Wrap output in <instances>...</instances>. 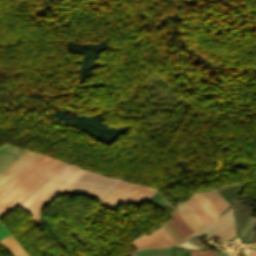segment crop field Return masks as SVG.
Instances as JSON below:
<instances>
[{
  "label": "crop field",
  "instance_id": "crop-field-1",
  "mask_svg": "<svg viewBox=\"0 0 256 256\" xmlns=\"http://www.w3.org/2000/svg\"><path fill=\"white\" fill-rule=\"evenodd\" d=\"M63 164L43 155L37 158L0 191V212L17 206Z\"/></svg>",
  "mask_w": 256,
  "mask_h": 256
},
{
  "label": "crop field",
  "instance_id": "crop-field-2",
  "mask_svg": "<svg viewBox=\"0 0 256 256\" xmlns=\"http://www.w3.org/2000/svg\"><path fill=\"white\" fill-rule=\"evenodd\" d=\"M68 164H66L64 167H66ZM63 167V168H64ZM62 168V169H63ZM62 169H60L56 174H58ZM85 171L80 170L78 168L72 167L68 165L65 169H63L57 176L51 177L48 181L52 180L49 183H45L42 185L40 188H43L41 190H37L34 194L33 197H29L25 202V204H21L20 206L22 209L27 210L30 212L32 216V220L34 225H38L42 223L41 217L39 212L50 202L52 201L57 195H59L64 189H66L72 182H74L81 174H83ZM37 227V226H36Z\"/></svg>",
  "mask_w": 256,
  "mask_h": 256
},
{
  "label": "crop field",
  "instance_id": "crop-field-3",
  "mask_svg": "<svg viewBox=\"0 0 256 256\" xmlns=\"http://www.w3.org/2000/svg\"><path fill=\"white\" fill-rule=\"evenodd\" d=\"M121 182L86 171L65 191L88 193L102 199Z\"/></svg>",
  "mask_w": 256,
  "mask_h": 256
},
{
  "label": "crop field",
  "instance_id": "crop-field-4",
  "mask_svg": "<svg viewBox=\"0 0 256 256\" xmlns=\"http://www.w3.org/2000/svg\"><path fill=\"white\" fill-rule=\"evenodd\" d=\"M207 234L210 238L212 234L223 240L231 239L235 236V224L232 209L229 208L223 214H221L217 219H215L210 225H208L199 234Z\"/></svg>",
  "mask_w": 256,
  "mask_h": 256
},
{
  "label": "crop field",
  "instance_id": "crop-field-5",
  "mask_svg": "<svg viewBox=\"0 0 256 256\" xmlns=\"http://www.w3.org/2000/svg\"><path fill=\"white\" fill-rule=\"evenodd\" d=\"M140 186L124 183L118 185L104 199L100 201V205L116 210L125 200H127Z\"/></svg>",
  "mask_w": 256,
  "mask_h": 256
},
{
  "label": "crop field",
  "instance_id": "crop-field-6",
  "mask_svg": "<svg viewBox=\"0 0 256 256\" xmlns=\"http://www.w3.org/2000/svg\"><path fill=\"white\" fill-rule=\"evenodd\" d=\"M39 156L40 154L36 152L28 151L4 173H2L0 175V190Z\"/></svg>",
  "mask_w": 256,
  "mask_h": 256
},
{
  "label": "crop field",
  "instance_id": "crop-field-7",
  "mask_svg": "<svg viewBox=\"0 0 256 256\" xmlns=\"http://www.w3.org/2000/svg\"><path fill=\"white\" fill-rule=\"evenodd\" d=\"M27 150L3 145L0 147V174L16 161Z\"/></svg>",
  "mask_w": 256,
  "mask_h": 256
},
{
  "label": "crop field",
  "instance_id": "crop-field-8",
  "mask_svg": "<svg viewBox=\"0 0 256 256\" xmlns=\"http://www.w3.org/2000/svg\"><path fill=\"white\" fill-rule=\"evenodd\" d=\"M177 207L179 213L184 217L195 232H199L206 226L186 202L177 203Z\"/></svg>",
  "mask_w": 256,
  "mask_h": 256
},
{
  "label": "crop field",
  "instance_id": "crop-field-9",
  "mask_svg": "<svg viewBox=\"0 0 256 256\" xmlns=\"http://www.w3.org/2000/svg\"><path fill=\"white\" fill-rule=\"evenodd\" d=\"M0 243L12 256H28L12 236L0 240Z\"/></svg>",
  "mask_w": 256,
  "mask_h": 256
},
{
  "label": "crop field",
  "instance_id": "crop-field-10",
  "mask_svg": "<svg viewBox=\"0 0 256 256\" xmlns=\"http://www.w3.org/2000/svg\"><path fill=\"white\" fill-rule=\"evenodd\" d=\"M171 216L173 218L170 221L184 238L194 233L176 211Z\"/></svg>",
  "mask_w": 256,
  "mask_h": 256
},
{
  "label": "crop field",
  "instance_id": "crop-field-11",
  "mask_svg": "<svg viewBox=\"0 0 256 256\" xmlns=\"http://www.w3.org/2000/svg\"><path fill=\"white\" fill-rule=\"evenodd\" d=\"M193 196L196 198V200L201 204V206L206 210V212L211 216L213 220L220 214L203 193L193 194Z\"/></svg>",
  "mask_w": 256,
  "mask_h": 256
},
{
  "label": "crop field",
  "instance_id": "crop-field-12",
  "mask_svg": "<svg viewBox=\"0 0 256 256\" xmlns=\"http://www.w3.org/2000/svg\"><path fill=\"white\" fill-rule=\"evenodd\" d=\"M186 202L197 213V215L204 221L206 225L209 224L211 221H213L193 196L190 199H188Z\"/></svg>",
  "mask_w": 256,
  "mask_h": 256
},
{
  "label": "crop field",
  "instance_id": "crop-field-13",
  "mask_svg": "<svg viewBox=\"0 0 256 256\" xmlns=\"http://www.w3.org/2000/svg\"><path fill=\"white\" fill-rule=\"evenodd\" d=\"M154 231L157 234V236L159 237V239L162 242V244L164 245V247L170 246L175 243L171 239V237L164 231V229L162 227H160Z\"/></svg>",
  "mask_w": 256,
  "mask_h": 256
},
{
  "label": "crop field",
  "instance_id": "crop-field-14",
  "mask_svg": "<svg viewBox=\"0 0 256 256\" xmlns=\"http://www.w3.org/2000/svg\"><path fill=\"white\" fill-rule=\"evenodd\" d=\"M191 256H216L214 252H191Z\"/></svg>",
  "mask_w": 256,
  "mask_h": 256
},
{
  "label": "crop field",
  "instance_id": "crop-field-15",
  "mask_svg": "<svg viewBox=\"0 0 256 256\" xmlns=\"http://www.w3.org/2000/svg\"><path fill=\"white\" fill-rule=\"evenodd\" d=\"M7 230L0 224V239L8 236Z\"/></svg>",
  "mask_w": 256,
  "mask_h": 256
},
{
  "label": "crop field",
  "instance_id": "crop-field-16",
  "mask_svg": "<svg viewBox=\"0 0 256 256\" xmlns=\"http://www.w3.org/2000/svg\"><path fill=\"white\" fill-rule=\"evenodd\" d=\"M247 252L249 256H256V250L247 248Z\"/></svg>",
  "mask_w": 256,
  "mask_h": 256
},
{
  "label": "crop field",
  "instance_id": "crop-field-17",
  "mask_svg": "<svg viewBox=\"0 0 256 256\" xmlns=\"http://www.w3.org/2000/svg\"><path fill=\"white\" fill-rule=\"evenodd\" d=\"M0 216H1V214H0Z\"/></svg>",
  "mask_w": 256,
  "mask_h": 256
}]
</instances>
